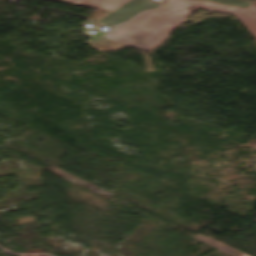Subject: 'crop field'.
Returning <instances> with one entry per match:
<instances>
[{"instance_id":"ac0d7876","label":"crop field","mask_w":256,"mask_h":256,"mask_svg":"<svg viewBox=\"0 0 256 256\" xmlns=\"http://www.w3.org/2000/svg\"><path fill=\"white\" fill-rule=\"evenodd\" d=\"M158 6L160 5L151 0H132L112 13L127 21L142 11L157 8Z\"/></svg>"},{"instance_id":"34b2d1b8","label":"crop field","mask_w":256,"mask_h":256,"mask_svg":"<svg viewBox=\"0 0 256 256\" xmlns=\"http://www.w3.org/2000/svg\"><path fill=\"white\" fill-rule=\"evenodd\" d=\"M87 7L95 10L112 12L130 0H53Z\"/></svg>"},{"instance_id":"e52e79f7","label":"crop field","mask_w":256,"mask_h":256,"mask_svg":"<svg viewBox=\"0 0 256 256\" xmlns=\"http://www.w3.org/2000/svg\"><path fill=\"white\" fill-rule=\"evenodd\" d=\"M208 1H215L223 5H231V6H239V7H248L253 5L252 2H248L245 0H208Z\"/></svg>"},{"instance_id":"5a996713","label":"crop field","mask_w":256,"mask_h":256,"mask_svg":"<svg viewBox=\"0 0 256 256\" xmlns=\"http://www.w3.org/2000/svg\"><path fill=\"white\" fill-rule=\"evenodd\" d=\"M14 1H16V0H14Z\"/></svg>"},{"instance_id":"8a807250","label":"crop field","mask_w":256,"mask_h":256,"mask_svg":"<svg viewBox=\"0 0 256 256\" xmlns=\"http://www.w3.org/2000/svg\"><path fill=\"white\" fill-rule=\"evenodd\" d=\"M198 9L236 15L243 9L192 0H167L159 10L146 12L118 31L158 44Z\"/></svg>"},{"instance_id":"f4fd0767","label":"crop field","mask_w":256,"mask_h":256,"mask_svg":"<svg viewBox=\"0 0 256 256\" xmlns=\"http://www.w3.org/2000/svg\"><path fill=\"white\" fill-rule=\"evenodd\" d=\"M236 17L256 39V7L254 5L251 6L236 15Z\"/></svg>"},{"instance_id":"d8731c3e","label":"crop field","mask_w":256,"mask_h":256,"mask_svg":"<svg viewBox=\"0 0 256 256\" xmlns=\"http://www.w3.org/2000/svg\"><path fill=\"white\" fill-rule=\"evenodd\" d=\"M254 3L256 4V1Z\"/></svg>"},{"instance_id":"412701ff","label":"crop field","mask_w":256,"mask_h":256,"mask_svg":"<svg viewBox=\"0 0 256 256\" xmlns=\"http://www.w3.org/2000/svg\"><path fill=\"white\" fill-rule=\"evenodd\" d=\"M104 37L109 40L132 45L135 48H138L147 52H149L152 48L156 46V44L135 38L133 36H130L115 30L104 34Z\"/></svg>"},{"instance_id":"dd49c442","label":"crop field","mask_w":256,"mask_h":256,"mask_svg":"<svg viewBox=\"0 0 256 256\" xmlns=\"http://www.w3.org/2000/svg\"><path fill=\"white\" fill-rule=\"evenodd\" d=\"M123 22H125V21L111 13L95 24L98 25L99 27L107 25L112 28V27L119 25Z\"/></svg>"}]
</instances>
